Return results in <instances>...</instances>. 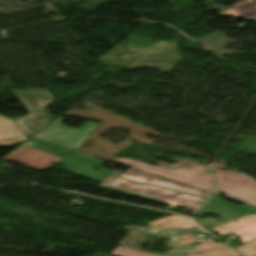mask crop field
Returning a JSON list of instances; mask_svg holds the SVG:
<instances>
[{
	"label": "crop field",
	"instance_id": "obj_4",
	"mask_svg": "<svg viewBox=\"0 0 256 256\" xmlns=\"http://www.w3.org/2000/svg\"><path fill=\"white\" fill-rule=\"evenodd\" d=\"M64 119L58 117L34 136L76 150L99 125L98 123L88 122L80 129L59 126Z\"/></svg>",
	"mask_w": 256,
	"mask_h": 256
},
{
	"label": "crop field",
	"instance_id": "obj_9",
	"mask_svg": "<svg viewBox=\"0 0 256 256\" xmlns=\"http://www.w3.org/2000/svg\"><path fill=\"white\" fill-rule=\"evenodd\" d=\"M198 213L202 214H212V215H218V216H223L229 220L221 223L217 220H214L212 218H206L204 220L199 221V223L205 227L206 229H212L217 226L223 225L225 223L231 222L233 220H236L240 217H243L245 215H248L250 213L230 209L223 207L221 205L215 204L213 202L208 201L203 207H201L198 211Z\"/></svg>",
	"mask_w": 256,
	"mask_h": 256
},
{
	"label": "crop field",
	"instance_id": "obj_12",
	"mask_svg": "<svg viewBox=\"0 0 256 256\" xmlns=\"http://www.w3.org/2000/svg\"><path fill=\"white\" fill-rule=\"evenodd\" d=\"M193 249L195 252L202 251L206 252L205 254H190L187 256H240L236 252L230 250L222 244H205V245H197Z\"/></svg>",
	"mask_w": 256,
	"mask_h": 256
},
{
	"label": "crop field",
	"instance_id": "obj_7",
	"mask_svg": "<svg viewBox=\"0 0 256 256\" xmlns=\"http://www.w3.org/2000/svg\"><path fill=\"white\" fill-rule=\"evenodd\" d=\"M25 145H28L30 147L42 150L44 152L53 154L55 156H58L60 158H62L61 160H59L57 163L66 166L70 171L75 172L77 174H80L84 177H87L89 179L95 180V181H99L102 182L108 175L102 173V172H98V171H94L92 170V165L88 164L85 161L76 159L74 157H71L67 154H64L60 151H56V150H52L43 146H39L33 143H26Z\"/></svg>",
	"mask_w": 256,
	"mask_h": 256
},
{
	"label": "crop field",
	"instance_id": "obj_8",
	"mask_svg": "<svg viewBox=\"0 0 256 256\" xmlns=\"http://www.w3.org/2000/svg\"><path fill=\"white\" fill-rule=\"evenodd\" d=\"M231 223L212 229L213 231L226 235L230 232L241 236V242L245 243L256 238V215L250 214Z\"/></svg>",
	"mask_w": 256,
	"mask_h": 256
},
{
	"label": "crop field",
	"instance_id": "obj_3",
	"mask_svg": "<svg viewBox=\"0 0 256 256\" xmlns=\"http://www.w3.org/2000/svg\"><path fill=\"white\" fill-rule=\"evenodd\" d=\"M16 93L31 113V115L16 120V123L25 134L28 136L34 135L53 121L52 117L50 118L45 111L46 109L44 110L45 107L52 104L53 100L47 89H31Z\"/></svg>",
	"mask_w": 256,
	"mask_h": 256
},
{
	"label": "crop field",
	"instance_id": "obj_17",
	"mask_svg": "<svg viewBox=\"0 0 256 256\" xmlns=\"http://www.w3.org/2000/svg\"><path fill=\"white\" fill-rule=\"evenodd\" d=\"M71 155H74V156H76V157L82 158V159H84V160H87V161H89V162H91V163H94V164L98 165V166L96 167V169H99V170H101V171H103V172H106V173H108V174L111 173L110 171H108V170H106V169L100 167L103 163H105L104 161L96 160V159H94V158H91V157H89V156L83 155V154L78 153V152H75V151H73V152L71 153Z\"/></svg>",
	"mask_w": 256,
	"mask_h": 256
},
{
	"label": "crop field",
	"instance_id": "obj_5",
	"mask_svg": "<svg viewBox=\"0 0 256 256\" xmlns=\"http://www.w3.org/2000/svg\"><path fill=\"white\" fill-rule=\"evenodd\" d=\"M214 192H222L228 198L256 206V181L245 174L224 172Z\"/></svg>",
	"mask_w": 256,
	"mask_h": 256
},
{
	"label": "crop field",
	"instance_id": "obj_6",
	"mask_svg": "<svg viewBox=\"0 0 256 256\" xmlns=\"http://www.w3.org/2000/svg\"><path fill=\"white\" fill-rule=\"evenodd\" d=\"M110 175L129 179V180H134V181H138V182H142V183H152L155 185H159L162 187L177 190V191L184 192L187 194L203 197L206 199H208V196H209V192L202 191V190H199V189H196L193 187H189V186L174 182L169 179L158 178L155 175L142 173V172L135 171L132 169L126 171L125 173L119 172V171H114Z\"/></svg>",
	"mask_w": 256,
	"mask_h": 256
},
{
	"label": "crop field",
	"instance_id": "obj_18",
	"mask_svg": "<svg viewBox=\"0 0 256 256\" xmlns=\"http://www.w3.org/2000/svg\"><path fill=\"white\" fill-rule=\"evenodd\" d=\"M236 250L246 256H252L256 254V241L244 245Z\"/></svg>",
	"mask_w": 256,
	"mask_h": 256
},
{
	"label": "crop field",
	"instance_id": "obj_13",
	"mask_svg": "<svg viewBox=\"0 0 256 256\" xmlns=\"http://www.w3.org/2000/svg\"><path fill=\"white\" fill-rule=\"evenodd\" d=\"M255 5L256 0H247V3L242 5L240 10H230L228 12H222L221 14L233 17L251 18L253 20H256V7H254Z\"/></svg>",
	"mask_w": 256,
	"mask_h": 256
},
{
	"label": "crop field",
	"instance_id": "obj_15",
	"mask_svg": "<svg viewBox=\"0 0 256 256\" xmlns=\"http://www.w3.org/2000/svg\"><path fill=\"white\" fill-rule=\"evenodd\" d=\"M111 255L115 256H158L150 253H145V252H139L137 250L125 248L118 246L112 253Z\"/></svg>",
	"mask_w": 256,
	"mask_h": 256
},
{
	"label": "crop field",
	"instance_id": "obj_2",
	"mask_svg": "<svg viewBox=\"0 0 256 256\" xmlns=\"http://www.w3.org/2000/svg\"><path fill=\"white\" fill-rule=\"evenodd\" d=\"M111 161L124 164L139 170H143L155 175L175 180L177 182L190 185L202 190L211 192L213 186L221 173L210 174L203 172L204 166H193L191 169H168L161 166L152 167L131 159L115 158Z\"/></svg>",
	"mask_w": 256,
	"mask_h": 256
},
{
	"label": "crop field",
	"instance_id": "obj_19",
	"mask_svg": "<svg viewBox=\"0 0 256 256\" xmlns=\"http://www.w3.org/2000/svg\"><path fill=\"white\" fill-rule=\"evenodd\" d=\"M31 141L38 142V143H41V144H44V145H48V146H51V147L60 149V150H62V151H65V152H67V153H69V152L71 151V149L64 148V147H61V146H58V145H55V144H52V143H49V142H46V141L37 139V138H35V137H33V138L31 139Z\"/></svg>",
	"mask_w": 256,
	"mask_h": 256
},
{
	"label": "crop field",
	"instance_id": "obj_11",
	"mask_svg": "<svg viewBox=\"0 0 256 256\" xmlns=\"http://www.w3.org/2000/svg\"><path fill=\"white\" fill-rule=\"evenodd\" d=\"M147 224L152 227H156V228H185V229H189V228L196 227L194 229L182 231L181 233L184 234V233L200 230L203 233L208 234V232H206L198 224H196L194 221H192L186 217L171 216V217H167L164 219L149 222ZM158 224H162V225L157 226Z\"/></svg>",
	"mask_w": 256,
	"mask_h": 256
},
{
	"label": "crop field",
	"instance_id": "obj_1",
	"mask_svg": "<svg viewBox=\"0 0 256 256\" xmlns=\"http://www.w3.org/2000/svg\"><path fill=\"white\" fill-rule=\"evenodd\" d=\"M99 186L192 211H195L205 201V199L184 193L152 185L133 183L110 176H108Z\"/></svg>",
	"mask_w": 256,
	"mask_h": 256
},
{
	"label": "crop field",
	"instance_id": "obj_16",
	"mask_svg": "<svg viewBox=\"0 0 256 256\" xmlns=\"http://www.w3.org/2000/svg\"><path fill=\"white\" fill-rule=\"evenodd\" d=\"M210 200L214 201V202H217V203H221V204L230 206V207H233V208H236V209H239V210H242V211H246V212H250V213L256 212V207H253V206H250V205L240 207V206H237V205L219 200V199L215 198L213 195H212Z\"/></svg>",
	"mask_w": 256,
	"mask_h": 256
},
{
	"label": "crop field",
	"instance_id": "obj_10",
	"mask_svg": "<svg viewBox=\"0 0 256 256\" xmlns=\"http://www.w3.org/2000/svg\"><path fill=\"white\" fill-rule=\"evenodd\" d=\"M26 137L15 122L0 117V146H6L25 141Z\"/></svg>",
	"mask_w": 256,
	"mask_h": 256
},
{
	"label": "crop field",
	"instance_id": "obj_20",
	"mask_svg": "<svg viewBox=\"0 0 256 256\" xmlns=\"http://www.w3.org/2000/svg\"><path fill=\"white\" fill-rule=\"evenodd\" d=\"M254 214H256V213H254Z\"/></svg>",
	"mask_w": 256,
	"mask_h": 256
},
{
	"label": "crop field",
	"instance_id": "obj_14",
	"mask_svg": "<svg viewBox=\"0 0 256 256\" xmlns=\"http://www.w3.org/2000/svg\"><path fill=\"white\" fill-rule=\"evenodd\" d=\"M196 233H200V231L178 236L176 238V240L178 242L170 244V245L172 247H176V246H181V245L190 244V243L205 244V243H211L212 242L210 240H204V241L197 242L196 240H199V239L193 236V234H196Z\"/></svg>",
	"mask_w": 256,
	"mask_h": 256
}]
</instances>
